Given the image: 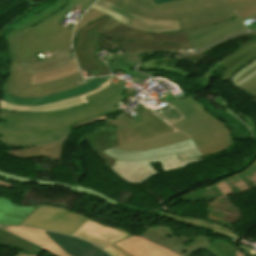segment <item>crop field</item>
Listing matches in <instances>:
<instances>
[{
	"mask_svg": "<svg viewBox=\"0 0 256 256\" xmlns=\"http://www.w3.org/2000/svg\"><path fill=\"white\" fill-rule=\"evenodd\" d=\"M0 227L39 244L57 256H109L98 247L79 238L33 228Z\"/></svg>",
	"mask_w": 256,
	"mask_h": 256,
	"instance_id": "8",
	"label": "crop field"
},
{
	"mask_svg": "<svg viewBox=\"0 0 256 256\" xmlns=\"http://www.w3.org/2000/svg\"><path fill=\"white\" fill-rule=\"evenodd\" d=\"M74 58L73 53H57L54 57L42 62L20 63L22 69L29 73H41L65 66Z\"/></svg>",
	"mask_w": 256,
	"mask_h": 256,
	"instance_id": "24",
	"label": "crop field"
},
{
	"mask_svg": "<svg viewBox=\"0 0 256 256\" xmlns=\"http://www.w3.org/2000/svg\"><path fill=\"white\" fill-rule=\"evenodd\" d=\"M95 1L69 0L61 11L24 32L18 39L20 62L37 61L34 54L39 52L67 50L70 47L72 29L57 25L58 19L77 7L87 10Z\"/></svg>",
	"mask_w": 256,
	"mask_h": 256,
	"instance_id": "5",
	"label": "crop field"
},
{
	"mask_svg": "<svg viewBox=\"0 0 256 256\" xmlns=\"http://www.w3.org/2000/svg\"><path fill=\"white\" fill-rule=\"evenodd\" d=\"M222 99V98H221ZM220 105H222V106H224L225 108H227L229 111H231L232 113H234L236 116H238L241 120H243L242 118H247V117H244V116H241L240 114V112H238L237 110H235V109H233L230 105H228V104H226L225 102H224V100L222 99V102L220 103L218 100H216ZM247 120L249 121V123H251L252 124V127H250V126H248V127H250V129H251V131H252V133L254 134V133H256V125H254L252 122H251V119H248L247 118ZM247 124V123H246Z\"/></svg>",
	"mask_w": 256,
	"mask_h": 256,
	"instance_id": "35",
	"label": "crop field"
},
{
	"mask_svg": "<svg viewBox=\"0 0 256 256\" xmlns=\"http://www.w3.org/2000/svg\"><path fill=\"white\" fill-rule=\"evenodd\" d=\"M66 139L55 142L49 145H44L35 148L29 149H22L16 151H3L4 154L15 156V157H22V158H33V157H47L53 160H59L61 155V148L63 143Z\"/></svg>",
	"mask_w": 256,
	"mask_h": 256,
	"instance_id": "23",
	"label": "crop field"
},
{
	"mask_svg": "<svg viewBox=\"0 0 256 256\" xmlns=\"http://www.w3.org/2000/svg\"><path fill=\"white\" fill-rule=\"evenodd\" d=\"M109 15L96 20L94 23L82 28L77 36L75 45V55L79 65L87 72L88 75L93 74L94 77L101 75H110L107 65L96 56V46L116 45L121 47V41L109 39L91 29L100 25Z\"/></svg>",
	"mask_w": 256,
	"mask_h": 256,
	"instance_id": "9",
	"label": "crop field"
},
{
	"mask_svg": "<svg viewBox=\"0 0 256 256\" xmlns=\"http://www.w3.org/2000/svg\"><path fill=\"white\" fill-rule=\"evenodd\" d=\"M93 30L110 38L122 40V48L125 53H141L153 51L178 52L179 49L191 48L199 50L226 36L246 31L247 29L239 18H235L201 29L164 34H150L133 28H128L111 17Z\"/></svg>",
	"mask_w": 256,
	"mask_h": 256,
	"instance_id": "2",
	"label": "crop field"
},
{
	"mask_svg": "<svg viewBox=\"0 0 256 256\" xmlns=\"http://www.w3.org/2000/svg\"><path fill=\"white\" fill-rule=\"evenodd\" d=\"M139 71H141V70H139ZM141 72L146 73V74H149V75H152V76H153L154 73L162 75V73L152 72V71H141ZM154 75H155V74H154ZM166 77H167V76H166ZM167 78L173 80L174 82L178 81V80H176V79H174V78H171V77H167Z\"/></svg>",
	"mask_w": 256,
	"mask_h": 256,
	"instance_id": "38",
	"label": "crop field"
},
{
	"mask_svg": "<svg viewBox=\"0 0 256 256\" xmlns=\"http://www.w3.org/2000/svg\"><path fill=\"white\" fill-rule=\"evenodd\" d=\"M162 97H163L166 101H168V102L175 100V98H174L171 94H169V95H164V96H162Z\"/></svg>",
	"mask_w": 256,
	"mask_h": 256,
	"instance_id": "41",
	"label": "crop field"
},
{
	"mask_svg": "<svg viewBox=\"0 0 256 256\" xmlns=\"http://www.w3.org/2000/svg\"><path fill=\"white\" fill-rule=\"evenodd\" d=\"M179 61L171 60V56H159L143 61L138 67L166 71L172 73H179L187 78L191 77L193 73H186L176 69Z\"/></svg>",
	"mask_w": 256,
	"mask_h": 256,
	"instance_id": "25",
	"label": "crop field"
},
{
	"mask_svg": "<svg viewBox=\"0 0 256 256\" xmlns=\"http://www.w3.org/2000/svg\"><path fill=\"white\" fill-rule=\"evenodd\" d=\"M115 78L116 77H112L107 84L103 85L102 87H100L90 93H87L85 95H82V96H79L76 98H72L69 100H65V101H61V102H57V103H53V104H49V105H45V106H40V107H19V106H14L12 104H9V103H6V102H3L0 100V108L14 110L17 112H51V111H55V110H59V109H64V108H68V107H72V106L85 104V103H87V101L84 97L104 89Z\"/></svg>",
	"mask_w": 256,
	"mask_h": 256,
	"instance_id": "20",
	"label": "crop field"
},
{
	"mask_svg": "<svg viewBox=\"0 0 256 256\" xmlns=\"http://www.w3.org/2000/svg\"><path fill=\"white\" fill-rule=\"evenodd\" d=\"M73 236L95 243L111 256H131L114 244L132 237L128 232L94 219L88 220Z\"/></svg>",
	"mask_w": 256,
	"mask_h": 256,
	"instance_id": "14",
	"label": "crop field"
},
{
	"mask_svg": "<svg viewBox=\"0 0 256 256\" xmlns=\"http://www.w3.org/2000/svg\"><path fill=\"white\" fill-rule=\"evenodd\" d=\"M96 4L106 7L110 10H113L119 13L121 16L129 19L130 21L125 24L126 26H129V27L145 30L150 33L179 31L176 21L162 22V21L142 19L102 0H97Z\"/></svg>",
	"mask_w": 256,
	"mask_h": 256,
	"instance_id": "17",
	"label": "crop field"
},
{
	"mask_svg": "<svg viewBox=\"0 0 256 256\" xmlns=\"http://www.w3.org/2000/svg\"><path fill=\"white\" fill-rule=\"evenodd\" d=\"M139 236L149 239L180 256H191L213 242L211 239H207L201 235L196 239H190L178 233L175 234L171 228L162 225L150 227Z\"/></svg>",
	"mask_w": 256,
	"mask_h": 256,
	"instance_id": "13",
	"label": "crop field"
},
{
	"mask_svg": "<svg viewBox=\"0 0 256 256\" xmlns=\"http://www.w3.org/2000/svg\"><path fill=\"white\" fill-rule=\"evenodd\" d=\"M66 2H67V0H60L54 6H52L50 9L46 10L43 13H39L38 15L34 16L33 18H31L29 20L24 21L22 24H20L14 30H12L11 32L8 33V35L6 36V43L10 50L12 62H19L18 48H17L18 37L27 29L31 28L32 26L36 25L40 21L44 20L45 18H47L50 15L61 10L65 6Z\"/></svg>",
	"mask_w": 256,
	"mask_h": 256,
	"instance_id": "18",
	"label": "crop field"
},
{
	"mask_svg": "<svg viewBox=\"0 0 256 256\" xmlns=\"http://www.w3.org/2000/svg\"><path fill=\"white\" fill-rule=\"evenodd\" d=\"M116 245L133 256H178L139 236L122 241Z\"/></svg>",
	"mask_w": 256,
	"mask_h": 256,
	"instance_id": "19",
	"label": "crop field"
},
{
	"mask_svg": "<svg viewBox=\"0 0 256 256\" xmlns=\"http://www.w3.org/2000/svg\"><path fill=\"white\" fill-rule=\"evenodd\" d=\"M78 71L79 70H78L76 61H75V59H73L68 65H66L65 67H63L59 70L33 75L31 84H36V83H40V82H46V81L63 78L65 76L76 73Z\"/></svg>",
	"mask_w": 256,
	"mask_h": 256,
	"instance_id": "27",
	"label": "crop field"
},
{
	"mask_svg": "<svg viewBox=\"0 0 256 256\" xmlns=\"http://www.w3.org/2000/svg\"><path fill=\"white\" fill-rule=\"evenodd\" d=\"M177 0H154L155 4H163V3H168V2H173Z\"/></svg>",
	"mask_w": 256,
	"mask_h": 256,
	"instance_id": "40",
	"label": "crop field"
},
{
	"mask_svg": "<svg viewBox=\"0 0 256 256\" xmlns=\"http://www.w3.org/2000/svg\"><path fill=\"white\" fill-rule=\"evenodd\" d=\"M0 176L5 177L7 179H13L15 181L32 182V183H36V184H40V185L46 184V185H52V186H63V187H67L69 189H73V190H75L77 192H81V193H85V194H91V195L98 196L100 198H104L105 201L110 202V203H112L114 205H116L118 203L117 201H113V200L109 199L108 197H106L105 195L100 194V193H98V192H96V191H94L92 189H86V188L79 187V186L73 187V186H70V185L60 184V183H53V182H44V181H38V180L23 179V178H19V177L8 175V174L3 173L1 171H0Z\"/></svg>",
	"mask_w": 256,
	"mask_h": 256,
	"instance_id": "28",
	"label": "crop field"
},
{
	"mask_svg": "<svg viewBox=\"0 0 256 256\" xmlns=\"http://www.w3.org/2000/svg\"><path fill=\"white\" fill-rule=\"evenodd\" d=\"M235 17H238V16L236 15V13L233 11L232 8H229L228 10L226 9L217 13L201 16L198 18L190 19V20L177 21V22H178L179 30L182 31V30L201 28L204 26L217 24Z\"/></svg>",
	"mask_w": 256,
	"mask_h": 256,
	"instance_id": "22",
	"label": "crop field"
},
{
	"mask_svg": "<svg viewBox=\"0 0 256 256\" xmlns=\"http://www.w3.org/2000/svg\"><path fill=\"white\" fill-rule=\"evenodd\" d=\"M118 205L123 206V207L130 208V209H134V210H138V211L146 212V213L151 212V210H150V209H145V208H141V207H135V206H131V205H127V204H123V203H121V202H119V203H118Z\"/></svg>",
	"mask_w": 256,
	"mask_h": 256,
	"instance_id": "37",
	"label": "crop field"
},
{
	"mask_svg": "<svg viewBox=\"0 0 256 256\" xmlns=\"http://www.w3.org/2000/svg\"><path fill=\"white\" fill-rule=\"evenodd\" d=\"M254 102H256V99L254 98V100H253Z\"/></svg>",
	"mask_w": 256,
	"mask_h": 256,
	"instance_id": "43",
	"label": "crop field"
},
{
	"mask_svg": "<svg viewBox=\"0 0 256 256\" xmlns=\"http://www.w3.org/2000/svg\"><path fill=\"white\" fill-rule=\"evenodd\" d=\"M151 1H153V0H151Z\"/></svg>",
	"mask_w": 256,
	"mask_h": 256,
	"instance_id": "44",
	"label": "crop field"
},
{
	"mask_svg": "<svg viewBox=\"0 0 256 256\" xmlns=\"http://www.w3.org/2000/svg\"><path fill=\"white\" fill-rule=\"evenodd\" d=\"M140 118H142L146 123L153 127L161 135L152 138L142 140L123 120L110 119L117 132L118 144L120 149L135 151L150 149L158 146H163L175 142H180L190 139L188 136L181 132L175 131L168 124L162 121L155 114L142 106L140 108L134 109Z\"/></svg>",
	"mask_w": 256,
	"mask_h": 256,
	"instance_id": "7",
	"label": "crop field"
},
{
	"mask_svg": "<svg viewBox=\"0 0 256 256\" xmlns=\"http://www.w3.org/2000/svg\"><path fill=\"white\" fill-rule=\"evenodd\" d=\"M110 78L111 77L98 78V79L93 80V81L89 82L88 84L81 86L79 88H74V89H70L68 91L52 94L50 96L33 98V99H23V98L16 97V96L6 93L2 96V100L12 103L14 105H20V106L45 105V104L72 98V97L79 96L84 93L90 92V91L102 86L103 84L107 83Z\"/></svg>",
	"mask_w": 256,
	"mask_h": 256,
	"instance_id": "15",
	"label": "crop field"
},
{
	"mask_svg": "<svg viewBox=\"0 0 256 256\" xmlns=\"http://www.w3.org/2000/svg\"><path fill=\"white\" fill-rule=\"evenodd\" d=\"M238 88L242 89L251 96L256 97V76Z\"/></svg>",
	"mask_w": 256,
	"mask_h": 256,
	"instance_id": "34",
	"label": "crop field"
},
{
	"mask_svg": "<svg viewBox=\"0 0 256 256\" xmlns=\"http://www.w3.org/2000/svg\"><path fill=\"white\" fill-rule=\"evenodd\" d=\"M1 196L0 224L19 226L37 207L31 205H16Z\"/></svg>",
	"mask_w": 256,
	"mask_h": 256,
	"instance_id": "21",
	"label": "crop field"
},
{
	"mask_svg": "<svg viewBox=\"0 0 256 256\" xmlns=\"http://www.w3.org/2000/svg\"><path fill=\"white\" fill-rule=\"evenodd\" d=\"M88 219L89 217L68 210L40 205L20 226L72 235Z\"/></svg>",
	"mask_w": 256,
	"mask_h": 256,
	"instance_id": "12",
	"label": "crop field"
},
{
	"mask_svg": "<svg viewBox=\"0 0 256 256\" xmlns=\"http://www.w3.org/2000/svg\"><path fill=\"white\" fill-rule=\"evenodd\" d=\"M244 21L256 17V0H228Z\"/></svg>",
	"mask_w": 256,
	"mask_h": 256,
	"instance_id": "29",
	"label": "crop field"
},
{
	"mask_svg": "<svg viewBox=\"0 0 256 256\" xmlns=\"http://www.w3.org/2000/svg\"><path fill=\"white\" fill-rule=\"evenodd\" d=\"M135 15L153 20H183L217 12L229 5L225 0H182L155 5L149 0H105Z\"/></svg>",
	"mask_w": 256,
	"mask_h": 256,
	"instance_id": "6",
	"label": "crop field"
},
{
	"mask_svg": "<svg viewBox=\"0 0 256 256\" xmlns=\"http://www.w3.org/2000/svg\"><path fill=\"white\" fill-rule=\"evenodd\" d=\"M168 104L183 117L169 124L187 133L199 148L202 156L222 152L232 145L233 139L228 127L217 120L192 96Z\"/></svg>",
	"mask_w": 256,
	"mask_h": 256,
	"instance_id": "4",
	"label": "crop field"
},
{
	"mask_svg": "<svg viewBox=\"0 0 256 256\" xmlns=\"http://www.w3.org/2000/svg\"><path fill=\"white\" fill-rule=\"evenodd\" d=\"M31 77L32 75L22 70L18 63H13L6 82L7 92L23 98L45 96L77 87L74 83L84 79L78 72L60 80L30 85Z\"/></svg>",
	"mask_w": 256,
	"mask_h": 256,
	"instance_id": "10",
	"label": "crop field"
},
{
	"mask_svg": "<svg viewBox=\"0 0 256 256\" xmlns=\"http://www.w3.org/2000/svg\"><path fill=\"white\" fill-rule=\"evenodd\" d=\"M0 246L23 249L37 254L44 251V249L2 229H0Z\"/></svg>",
	"mask_w": 256,
	"mask_h": 256,
	"instance_id": "26",
	"label": "crop field"
},
{
	"mask_svg": "<svg viewBox=\"0 0 256 256\" xmlns=\"http://www.w3.org/2000/svg\"><path fill=\"white\" fill-rule=\"evenodd\" d=\"M124 89L109 85L86 97L89 103L51 113H8L0 110V142L17 146H36L58 141L72 131L73 125L116 113L114 107L124 97Z\"/></svg>",
	"mask_w": 256,
	"mask_h": 256,
	"instance_id": "1",
	"label": "crop field"
},
{
	"mask_svg": "<svg viewBox=\"0 0 256 256\" xmlns=\"http://www.w3.org/2000/svg\"><path fill=\"white\" fill-rule=\"evenodd\" d=\"M103 152L118 159L111 170L133 183L143 182L148 177L158 174L150 163L160 161L166 172L204 160L192 140L151 150L128 152L113 148Z\"/></svg>",
	"mask_w": 256,
	"mask_h": 256,
	"instance_id": "3",
	"label": "crop field"
},
{
	"mask_svg": "<svg viewBox=\"0 0 256 256\" xmlns=\"http://www.w3.org/2000/svg\"><path fill=\"white\" fill-rule=\"evenodd\" d=\"M105 118H106V116L101 117V118L96 119V120H90V121H87V122L81 123V124H79V125L73 126V128L78 127V126H82V125H85V124H88V123H92V122H95V121H98V120H101V119H105Z\"/></svg>",
	"mask_w": 256,
	"mask_h": 256,
	"instance_id": "39",
	"label": "crop field"
},
{
	"mask_svg": "<svg viewBox=\"0 0 256 256\" xmlns=\"http://www.w3.org/2000/svg\"><path fill=\"white\" fill-rule=\"evenodd\" d=\"M119 117L123 119L142 139L159 135V133H157L139 117L133 121L123 113L119 115Z\"/></svg>",
	"mask_w": 256,
	"mask_h": 256,
	"instance_id": "30",
	"label": "crop field"
},
{
	"mask_svg": "<svg viewBox=\"0 0 256 256\" xmlns=\"http://www.w3.org/2000/svg\"><path fill=\"white\" fill-rule=\"evenodd\" d=\"M215 256H236L235 247L225 241L218 240L203 248Z\"/></svg>",
	"mask_w": 256,
	"mask_h": 256,
	"instance_id": "31",
	"label": "crop field"
},
{
	"mask_svg": "<svg viewBox=\"0 0 256 256\" xmlns=\"http://www.w3.org/2000/svg\"><path fill=\"white\" fill-rule=\"evenodd\" d=\"M251 35H256V32L249 33ZM249 34H241L237 35L233 38H230L228 40H225L219 44H215L211 46L210 48L203 50L197 54L189 55V56H179V58H189V59H195L200 60L203 59V54L216 49L234 39L249 35ZM256 41V40H255ZM256 58V42L249 43L245 46L240 47L235 52L231 53L230 55L226 56L225 58H221L222 60L216 61L217 63L211 65L208 67V70H210L205 76L203 75L201 78H197L198 80H201L205 83L210 84L212 77L214 75L220 74L223 72V75L221 77V80L227 81L231 78V76L236 73L238 70H240L242 67H244L246 64H248L250 61ZM205 71V72H206Z\"/></svg>",
	"mask_w": 256,
	"mask_h": 256,
	"instance_id": "11",
	"label": "crop field"
},
{
	"mask_svg": "<svg viewBox=\"0 0 256 256\" xmlns=\"http://www.w3.org/2000/svg\"><path fill=\"white\" fill-rule=\"evenodd\" d=\"M85 139L88 140L91 148L105 160L106 167L111 168L116 160L109 158L101 150L118 146L114 125L107 121L78 141Z\"/></svg>",
	"mask_w": 256,
	"mask_h": 256,
	"instance_id": "16",
	"label": "crop field"
},
{
	"mask_svg": "<svg viewBox=\"0 0 256 256\" xmlns=\"http://www.w3.org/2000/svg\"><path fill=\"white\" fill-rule=\"evenodd\" d=\"M249 31L256 30V23L250 24L247 26Z\"/></svg>",
	"mask_w": 256,
	"mask_h": 256,
	"instance_id": "42",
	"label": "crop field"
},
{
	"mask_svg": "<svg viewBox=\"0 0 256 256\" xmlns=\"http://www.w3.org/2000/svg\"><path fill=\"white\" fill-rule=\"evenodd\" d=\"M254 75H256V59L234 74L230 80L233 82L234 86L238 87L251 79Z\"/></svg>",
	"mask_w": 256,
	"mask_h": 256,
	"instance_id": "32",
	"label": "crop field"
},
{
	"mask_svg": "<svg viewBox=\"0 0 256 256\" xmlns=\"http://www.w3.org/2000/svg\"><path fill=\"white\" fill-rule=\"evenodd\" d=\"M105 13H102L100 11L94 10L92 8H90L85 15L80 19V21L77 23L76 28L74 30V34H73V49H74V45H75V41H76V36H77V32L84 26L94 22L96 19L104 16Z\"/></svg>",
	"mask_w": 256,
	"mask_h": 256,
	"instance_id": "33",
	"label": "crop field"
},
{
	"mask_svg": "<svg viewBox=\"0 0 256 256\" xmlns=\"http://www.w3.org/2000/svg\"><path fill=\"white\" fill-rule=\"evenodd\" d=\"M92 8H95V9H97V10L103 11V12H105V13L111 15L112 17L116 18L117 20H119V21H120L121 23H123V24H125L126 22H128V20L124 19V18L121 17L119 14H117V13H115V12H113V11H110V10H108V9H105V8H103V7H101V6H98V5H96V4H94V5L92 6Z\"/></svg>",
	"mask_w": 256,
	"mask_h": 256,
	"instance_id": "36",
	"label": "crop field"
}]
</instances>
